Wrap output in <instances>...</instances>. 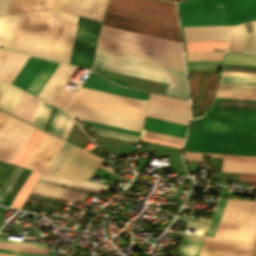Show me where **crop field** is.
Returning a JSON list of instances; mask_svg holds the SVG:
<instances>
[{
    "label": "crop field",
    "instance_id": "obj_49",
    "mask_svg": "<svg viewBox=\"0 0 256 256\" xmlns=\"http://www.w3.org/2000/svg\"><path fill=\"white\" fill-rule=\"evenodd\" d=\"M206 40H227V38H226V36H223V37L185 38V41H206Z\"/></svg>",
    "mask_w": 256,
    "mask_h": 256
},
{
    "label": "crop field",
    "instance_id": "obj_4",
    "mask_svg": "<svg viewBox=\"0 0 256 256\" xmlns=\"http://www.w3.org/2000/svg\"><path fill=\"white\" fill-rule=\"evenodd\" d=\"M191 131L256 135V112L209 109Z\"/></svg>",
    "mask_w": 256,
    "mask_h": 256
},
{
    "label": "crop field",
    "instance_id": "obj_21",
    "mask_svg": "<svg viewBox=\"0 0 256 256\" xmlns=\"http://www.w3.org/2000/svg\"><path fill=\"white\" fill-rule=\"evenodd\" d=\"M39 101L40 100L36 99L35 97L22 92L13 114L28 122H31Z\"/></svg>",
    "mask_w": 256,
    "mask_h": 256
},
{
    "label": "crop field",
    "instance_id": "obj_30",
    "mask_svg": "<svg viewBox=\"0 0 256 256\" xmlns=\"http://www.w3.org/2000/svg\"><path fill=\"white\" fill-rule=\"evenodd\" d=\"M34 189L47 192V193L64 196V197L81 200V201L85 196V193H81V192H77V191H73V190H69V189H65V188H61V187H57V186H53V185H49L41 182H38V184L35 186Z\"/></svg>",
    "mask_w": 256,
    "mask_h": 256
},
{
    "label": "crop field",
    "instance_id": "obj_36",
    "mask_svg": "<svg viewBox=\"0 0 256 256\" xmlns=\"http://www.w3.org/2000/svg\"><path fill=\"white\" fill-rule=\"evenodd\" d=\"M228 199L220 198L206 235H215Z\"/></svg>",
    "mask_w": 256,
    "mask_h": 256
},
{
    "label": "crop field",
    "instance_id": "obj_27",
    "mask_svg": "<svg viewBox=\"0 0 256 256\" xmlns=\"http://www.w3.org/2000/svg\"><path fill=\"white\" fill-rule=\"evenodd\" d=\"M187 52H221L227 50V41L185 42Z\"/></svg>",
    "mask_w": 256,
    "mask_h": 256
},
{
    "label": "crop field",
    "instance_id": "obj_23",
    "mask_svg": "<svg viewBox=\"0 0 256 256\" xmlns=\"http://www.w3.org/2000/svg\"><path fill=\"white\" fill-rule=\"evenodd\" d=\"M148 104L190 113L189 102L153 93L150 95Z\"/></svg>",
    "mask_w": 256,
    "mask_h": 256
},
{
    "label": "crop field",
    "instance_id": "obj_1",
    "mask_svg": "<svg viewBox=\"0 0 256 256\" xmlns=\"http://www.w3.org/2000/svg\"><path fill=\"white\" fill-rule=\"evenodd\" d=\"M179 7L182 26L238 24L256 19V0H191Z\"/></svg>",
    "mask_w": 256,
    "mask_h": 256
},
{
    "label": "crop field",
    "instance_id": "obj_34",
    "mask_svg": "<svg viewBox=\"0 0 256 256\" xmlns=\"http://www.w3.org/2000/svg\"><path fill=\"white\" fill-rule=\"evenodd\" d=\"M0 248L23 251V252H30V253H37V254H43V255H46L47 249H48L45 247L16 244V243H9V242H1V241H0Z\"/></svg>",
    "mask_w": 256,
    "mask_h": 256
},
{
    "label": "crop field",
    "instance_id": "obj_29",
    "mask_svg": "<svg viewBox=\"0 0 256 256\" xmlns=\"http://www.w3.org/2000/svg\"><path fill=\"white\" fill-rule=\"evenodd\" d=\"M40 174L41 173L31 171L28 178L26 179L21 189L10 204V207L20 209L21 205L23 204L25 198L27 197L28 193L32 189Z\"/></svg>",
    "mask_w": 256,
    "mask_h": 256
},
{
    "label": "crop field",
    "instance_id": "obj_33",
    "mask_svg": "<svg viewBox=\"0 0 256 256\" xmlns=\"http://www.w3.org/2000/svg\"><path fill=\"white\" fill-rule=\"evenodd\" d=\"M253 32H246L245 25H241L243 51L256 53V21H252Z\"/></svg>",
    "mask_w": 256,
    "mask_h": 256
},
{
    "label": "crop field",
    "instance_id": "obj_20",
    "mask_svg": "<svg viewBox=\"0 0 256 256\" xmlns=\"http://www.w3.org/2000/svg\"><path fill=\"white\" fill-rule=\"evenodd\" d=\"M97 51L185 71L184 65L98 46Z\"/></svg>",
    "mask_w": 256,
    "mask_h": 256
},
{
    "label": "crop field",
    "instance_id": "obj_53",
    "mask_svg": "<svg viewBox=\"0 0 256 256\" xmlns=\"http://www.w3.org/2000/svg\"><path fill=\"white\" fill-rule=\"evenodd\" d=\"M143 141H148V142H153V143H158V144H164V145H169V146H174V147H179L181 148L180 145H176V144H171V143H167V142H162V141H157V140H153V139H148V138H144L142 137Z\"/></svg>",
    "mask_w": 256,
    "mask_h": 256
},
{
    "label": "crop field",
    "instance_id": "obj_19",
    "mask_svg": "<svg viewBox=\"0 0 256 256\" xmlns=\"http://www.w3.org/2000/svg\"><path fill=\"white\" fill-rule=\"evenodd\" d=\"M22 90L5 82H0V108L13 113Z\"/></svg>",
    "mask_w": 256,
    "mask_h": 256
},
{
    "label": "crop field",
    "instance_id": "obj_42",
    "mask_svg": "<svg viewBox=\"0 0 256 256\" xmlns=\"http://www.w3.org/2000/svg\"><path fill=\"white\" fill-rule=\"evenodd\" d=\"M229 50L242 51L240 25L228 33Z\"/></svg>",
    "mask_w": 256,
    "mask_h": 256
},
{
    "label": "crop field",
    "instance_id": "obj_12",
    "mask_svg": "<svg viewBox=\"0 0 256 256\" xmlns=\"http://www.w3.org/2000/svg\"><path fill=\"white\" fill-rule=\"evenodd\" d=\"M93 72H91V74L82 84L83 87L147 100L148 93L117 86Z\"/></svg>",
    "mask_w": 256,
    "mask_h": 256
},
{
    "label": "crop field",
    "instance_id": "obj_6",
    "mask_svg": "<svg viewBox=\"0 0 256 256\" xmlns=\"http://www.w3.org/2000/svg\"><path fill=\"white\" fill-rule=\"evenodd\" d=\"M51 12L21 14L13 50L42 57Z\"/></svg>",
    "mask_w": 256,
    "mask_h": 256
},
{
    "label": "crop field",
    "instance_id": "obj_48",
    "mask_svg": "<svg viewBox=\"0 0 256 256\" xmlns=\"http://www.w3.org/2000/svg\"><path fill=\"white\" fill-rule=\"evenodd\" d=\"M218 89L256 92V88L220 85Z\"/></svg>",
    "mask_w": 256,
    "mask_h": 256
},
{
    "label": "crop field",
    "instance_id": "obj_3",
    "mask_svg": "<svg viewBox=\"0 0 256 256\" xmlns=\"http://www.w3.org/2000/svg\"><path fill=\"white\" fill-rule=\"evenodd\" d=\"M96 68L170 83L167 95L189 99L185 72L97 52Z\"/></svg>",
    "mask_w": 256,
    "mask_h": 256
},
{
    "label": "crop field",
    "instance_id": "obj_38",
    "mask_svg": "<svg viewBox=\"0 0 256 256\" xmlns=\"http://www.w3.org/2000/svg\"><path fill=\"white\" fill-rule=\"evenodd\" d=\"M224 63L256 65V56H250V55H244V54H238V53H229L227 54Z\"/></svg>",
    "mask_w": 256,
    "mask_h": 256
},
{
    "label": "crop field",
    "instance_id": "obj_22",
    "mask_svg": "<svg viewBox=\"0 0 256 256\" xmlns=\"http://www.w3.org/2000/svg\"><path fill=\"white\" fill-rule=\"evenodd\" d=\"M34 130V127L28 125L25 123L15 140L12 142L4 156L2 157V160H5L7 162L12 163L32 131Z\"/></svg>",
    "mask_w": 256,
    "mask_h": 256
},
{
    "label": "crop field",
    "instance_id": "obj_15",
    "mask_svg": "<svg viewBox=\"0 0 256 256\" xmlns=\"http://www.w3.org/2000/svg\"><path fill=\"white\" fill-rule=\"evenodd\" d=\"M185 124L146 116L143 129L184 138Z\"/></svg>",
    "mask_w": 256,
    "mask_h": 256
},
{
    "label": "crop field",
    "instance_id": "obj_46",
    "mask_svg": "<svg viewBox=\"0 0 256 256\" xmlns=\"http://www.w3.org/2000/svg\"><path fill=\"white\" fill-rule=\"evenodd\" d=\"M175 220L187 221L186 225L207 227L210 219L177 217Z\"/></svg>",
    "mask_w": 256,
    "mask_h": 256
},
{
    "label": "crop field",
    "instance_id": "obj_55",
    "mask_svg": "<svg viewBox=\"0 0 256 256\" xmlns=\"http://www.w3.org/2000/svg\"><path fill=\"white\" fill-rule=\"evenodd\" d=\"M222 74L243 75V76H255V77H256V73H243V72H229V71H223Z\"/></svg>",
    "mask_w": 256,
    "mask_h": 256
},
{
    "label": "crop field",
    "instance_id": "obj_54",
    "mask_svg": "<svg viewBox=\"0 0 256 256\" xmlns=\"http://www.w3.org/2000/svg\"><path fill=\"white\" fill-rule=\"evenodd\" d=\"M0 240H1V241L16 242V243H24V244L39 245V246H45V247H48V246H49V245H46V244L32 243V242H24V241H17V240L3 239V238H0Z\"/></svg>",
    "mask_w": 256,
    "mask_h": 256
},
{
    "label": "crop field",
    "instance_id": "obj_52",
    "mask_svg": "<svg viewBox=\"0 0 256 256\" xmlns=\"http://www.w3.org/2000/svg\"><path fill=\"white\" fill-rule=\"evenodd\" d=\"M32 192L42 194V195H46V196H50V197H54V198H58V199H62V200L76 202V201H73L72 199H68V198H64V197H60V196H56V195H52V194H47V193H43V192H39V191H35V190H33ZM76 203H80V202H76ZM81 204H85V203H81ZM85 205H87V204H85Z\"/></svg>",
    "mask_w": 256,
    "mask_h": 256
},
{
    "label": "crop field",
    "instance_id": "obj_26",
    "mask_svg": "<svg viewBox=\"0 0 256 256\" xmlns=\"http://www.w3.org/2000/svg\"><path fill=\"white\" fill-rule=\"evenodd\" d=\"M57 65V62L47 60V62L44 64L42 69L39 71L35 79L28 87L27 91L37 96Z\"/></svg>",
    "mask_w": 256,
    "mask_h": 256
},
{
    "label": "crop field",
    "instance_id": "obj_9",
    "mask_svg": "<svg viewBox=\"0 0 256 256\" xmlns=\"http://www.w3.org/2000/svg\"><path fill=\"white\" fill-rule=\"evenodd\" d=\"M106 4L107 0H37L34 10L58 8L102 20Z\"/></svg>",
    "mask_w": 256,
    "mask_h": 256
},
{
    "label": "crop field",
    "instance_id": "obj_41",
    "mask_svg": "<svg viewBox=\"0 0 256 256\" xmlns=\"http://www.w3.org/2000/svg\"><path fill=\"white\" fill-rule=\"evenodd\" d=\"M36 0H12L9 12H21L33 10Z\"/></svg>",
    "mask_w": 256,
    "mask_h": 256
},
{
    "label": "crop field",
    "instance_id": "obj_47",
    "mask_svg": "<svg viewBox=\"0 0 256 256\" xmlns=\"http://www.w3.org/2000/svg\"><path fill=\"white\" fill-rule=\"evenodd\" d=\"M222 54H187L188 60L221 59Z\"/></svg>",
    "mask_w": 256,
    "mask_h": 256
},
{
    "label": "crop field",
    "instance_id": "obj_43",
    "mask_svg": "<svg viewBox=\"0 0 256 256\" xmlns=\"http://www.w3.org/2000/svg\"><path fill=\"white\" fill-rule=\"evenodd\" d=\"M190 69L220 68L221 60L188 61Z\"/></svg>",
    "mask_w": 256,
    "mask_h": 256
},
{
    "label": "crop field",
    "instance_id": "obj_57",
    "mask_svg": "<svg viewBox=\"0 0 256 256\" xmlns=\"http://www.w3.org/2000/svg\"><path fill=\"white\" fill-rule=\"evenodd\" d=\"M0 251H1V252L14 253V254L28 255V256H43V255L30 254V253H23V252L10 251V250H4V249H0Z\"/></svg>",
    "mask_w": 256,
    "mask_h": 256
},
{
    "label": "crop field",
    "instance_id": "obj_61",
    "mask_svg": "<svg viewBox=\"0 0 256 256\" xmlns=\"http://www.w3.org/2000/svg\"><path fill=\"white\" fill-rule=\"evenodd\" d=\"M167 1H172V2H175V0H167Z\"/></svg>",
    "mask_w": 256,
    "mask_h": 256
},
{
    "label": "crop field",
    "instance_id": "obj_24",
    "mask_svg": "<svg viewBox=\"0 0 256 256\" xmlns=\"http://www.w3.org/2000/svg\"><path fill=\"white\" fill-rule=\"evenodd\" d=\"M74 149L75 146L64 142L44 173L57 176Z\"/></svg>",
    "mask_w": 256,
    "mask_h": 256
},
{
    "label": "crop field",
    "instance_id": "obj_13",
    "mask_svg": "<svg viewBox=\"0 0 256 256\" xmlns=\"http://www.w3.org/2000/svg\"><path fill=\"white\" fill-rule=\"evenodd\" d=\"M24 122L4 113H0V159L14 140Z\"/></svg>",
    "mask_w": 256,
    "mask_h": 256
},
{
    "label": "crop field",
    "instance_id": "obj_8",
    "mask_svg": "<svg viewBox=\"0 0 256 256\" xmlns=\"http://www.w3.org/2000/svg\"><path fill=\"white\" fill-rule=\"evenodd\" d=\"M65 111L75 118L86 119L138 132H140L143 122V120L141 119H136L132 117L122 116L118 114L108 113L71 104H68Z\"/></svg>",
    "mask_w": 256,
    "mask_h": 256
},
{
    "label": "crop field",
    "instance_id": "obj_5",
    "mask_svg": "<svg viewBox=\"0 0 256 256\" xmlns=\"http://www.w3.org/2000/svg\"><path fill=\"white\" fill-rule=\"evenodd\" d=\"M70 103L143 119L147 101L80 87Z\"/></svg>",
    "mask_w": 256,
    "mask_h": 256
},
{
    "label": "crop field",
    "instance_id": "obj_39",
    "mask_svg": "<svg viewBox=\"0 0 256 256\" xmlns=\"http://www.w3.org/2000/svg\"><path fill=\"white\" fill-rule=\"evenodd\" d=\"M51 107V105L41 101L31 123L42 128Z\"/></svg>",
    "mask_w": 256,
    "mask_h": 256
},
{
    "label": "crop field",
    "instance_id": "obj_32",
    "mask_svg": "<svg viewBox=\"0 0 256 256\" xmlns=\"http://www.w3.org/2000/svg\"><path fill=\"white\" fill-rule=\"evenodd\" d=\"M69 119L70 117L64 111L57 109L48 131L62 137Z\"/></svg>",
    "mask_w": 256,
    "mask_h": 256
},
{
    "label": "crop field",
    "instance_id": "obj_60",
    "mask_svg": "<svg viewBox=\"0 0 256 256\" xmlns=\"http://www.w3.org/2000/svg\"><path fill=\"white\" fill-rule=\"evenodd\" d=\"M251 256H256V242H255Z\"/></svg>",
    "mask_w": 256,
    "mask_h": 256
},
{
    "label": "crop field",
    "instance_id": "obj_45",
    "mask_svg": "<svg viewBox=\"0 0 256 256\" xmlns=\"http://www.w3.org/2000/svg\"><path fill=\"white\" fill-rule=\"evenodd\" d=\"M21 171H22V168H18V167H15V169L13 170L12 174L10 175V177L8 178V180L6 181V183L4 184V186L0 191V203L5 197V195L7 194V192L9 191V189L11 188L12 184L14 183V181L16 180V178L18 177Z\"/></svg>",
    "mask_w": 256,
    "mask_h": 256
},
{
    "label": "crop field",
    "instance_id": "obj_7",
    "mask_svg": "<svg viewBox=\"0 0 256 256\" xmlns=\"http://www.w3.org/2000/svg\"><path fill=\"white\" fill-rule=\"evenodd\" d=\"M100 25L79 16L69 63L91 68Z\"/></svg>",
    "mask_w": 256,
    "mask_h": 256
},
{
    "label": "crop field",
    "instance_id": "obj_50",
    "mask_svg": "<svg viewBox=\"0 0 256 256\" xmlns=\"http://www.w3.org/2000/svg\"><path fill=\"white\" fill-rule=\"evenodd\" d=\"M86 123H87V124H90V125H95V126H99V127L114 129V130H118V131H123V132L132 133V134H137V135L140 134V133H138V132L129 131V130H125V129H120V128H116V127H111V126L102 125V124H97V123H93V122H88V121H86Z\"/></svg>",
    "mask_w": 256,
    "mask_h": 256
},
{
    "label": "crop field",
    "instance_id": "obj_14",
    "mask_svg": "<svg viewBox=\"0 0 256 256\" xmlns=\"http://www.w3.org/2000/svg\"><path fill=\"white\" fill-rule=\"evenodd\" d=\"M28 58V55L8 51L0 63V80L11 83Z\"/></svg>",
    "mask_w": 256,
    "mask_h": 256
},
{
    "label": "crop field",
    "instance_id": "obj_18",
    "mask_svg": "<svg viewBox=\"0 0 256 256\" xmlns=\"http://www.w3.org/2000/svg\"><path fill=\"white\" fill-rule=\"evenodd\" d=\"M45 135L46 132L35 128L13 163L25 167Z\"/></svg>",
    "mask_w": 256,
    "mask_h": 256
},
{
    "label": "crop field",
    "instance_id": "obj_40",
    "mask_svg": "<svg viewBox=\"0 0 256 256\" xmlns=\"http://www.w3.org/2000/svg\"><path fill=\"white\" fill-rule=\"evenodd\" d=\"M58 13H59L58 10H53V12H52L46 46H45L44 55H43V57H46V58H49V56H50V51H51V46H52V42H53Z\"/></svg>",
    "mask_w": 256,
    "mask_h": 256
},
{
    "label": "crop field",
    "instance_id": "obj_37",
    "mask_svg": "<svg viewBox=\"0 0 256 256\" xmlns=\"http://www.w3.org/2000/svg\"><path fill=\"white\" fill-rule=\"evenodd\" d=\"M147 112L158 114V115H163V116H168V117H172V118L182 119V120H186V121L189 120L188 113L159 108V107L150 106V105H148Z\"/></svg>",
    "mask_w": 256,
    "mask_h": 256
},
{
    "label": "crop field",
    "instance_id": "obj_58",
    "mask_svg": "<svg viewBox=\"0 0 256 256\" xmlns=\"http://www.w3.org/2000/svg\"><path fill=\"white\" fill-rule=\"evenodd\" d=\"M146 115L157 117V118H162V119H167V120H171V121L181 122V123H185V124L188 123L186 121H181V120H177V119H172V118H167V117H163V116L153 115V114H149V113H147Z\"/></svg>",
    "mask_w": 256,
    "mask_h": 256
},
{
    "label": "crop field",
    "instance_id": "obj_31",
    "mask_svg": "<svg viewBox=\"0 0 256 256\" xmlns=\"http://www.w3.org/2000/svg\"><path fill=\"white\" fill-rule=\"evenodd\" d=\"M202 239L184 235L183 241L178 249L179 256H198Z\"/></svg>",
    "mask_w": 256,
    "mask_h": 256
},
{
    "label": "crop field",
    "instance_id": "obj_56",
    "mask_svg": "<svg viewBox=\"0 0 256 256\" xmlns=\"http://www.w3.org/2000/svg\"><path fill=\"white\" fill-rule=\"evenodd\" d=\"M187 162H204L202 157L186 156Z\"/></svg>",
    "mask_w": 256,
    "mask_h": 256
},
{
    "label": "crop field",
    "instance_id": "obj_35",
    "mask_svg": "<svg viewBox=\"0 0 256 256\" xmlns=\"http://www.w3.org/2000/svg\"><path fill=\"white\" fill-rule=\"evenodd\" d=\"M220 84L256 87V78L222 75Z\"/></svg>",
    "mask_w": 256,
    "mask_h": 256
},
{
    "label": "crop field",
    "instance_id": "obj_10",
    "mask_svg": "<svg viewBox=\"0 0 256 256\" xmlns=\"http://www.w3.org/2000/svg\"><path fill=\"white\" fill-rule=\"evenodd\" d=\"M108 6L178 21L176 7L169 3L155 0H110Z\"/></svg>",
    "mask_w": 256,
    "mask_h": 256
},
{
    "label": "crop field",
    "instance_id": "obj_16",
    "mask_svg": "<svg viewBox=\"0 0 256 256\" xmlns=\"http://www.w3.org/2000/svg\"><path fill=\"white\" fill-rule=\"evenodd\" d=\"M20 14L0 16V47L13 48Z\"/></svg>",
    "mask_w": 256,
    "mask_h": 256
},
{
    "label": "crop field",
    "instance_id": "obj_11",
    "mask_svg": "<svg viewBox=\"0 0 256 256\" xmlns=\"http://www.w3.org/2000/svg\"><path fill=\"white\" fill-rule=\"evenodd\" d=\"M100 160L76 147L58 176L74 180L89 178Z\"/></svg>",
    "mask_w": 256,
    "mask_h": 256
},
{
    "label": "crop field",
    "instance_id": "obj_25",
    "mask_svg": "<svg viewBox=\"0 0 256 256\" xmlns=\"http://www.w3.org/2000/svg\"><path fill=\"white\" fill-rule=\"evenodd\" d=\"M234 25L183 27L185 37L226 35Z\"/></svg>",
    "mask_w": 256,
    "mask_h": 256
},
{
    "label": "crop field",
    "instance_id": "obj_44",
    "mask_svg": "<svg viewBox=\"0 0 256 256\" xmlns=\"http://www.w3.org/2000/svg\"><path fill=\"white\" fill-rule=\"evenodd\" d=\"M216 96L233 97V98H245V99H256V93L224 91V90H218Z\"/></svg>",
    "mask_w": 256,
    "mask_h": 256
},
{
    "label": "crop field",
    "instance_id": "obj_17",
    "mask_svg": "<svg viewBox=\"0 0 256 256\" xmlns=\"http://www.w3.org/2000/svg\"><path fill=\"white\" fill-rule=\"evenodd\" d=\"M45 62V59L30 56L15 79L12 81V84L26 90Z\"/></svg>",
    "mask_w": 256,
    "mask_h": 256
},
{
    "label": "crop field",
    "instance_id": "obj_51",
    "mask_svg": "<svg viewBox=\"0 0 256 256\" xmlns=\"http://www.w3.org/2000/svg\"><path fill=\"white\" fill-rule=\"evenodd\" d=\"M11 0H0V14L8 12Z\"/></svg>",
    "mask_w": 256,
    "mask_h": 256
},
{
    "label": "crop field",
    "instance_id": "obj_59",
    "mask_svg": "<svg viewBox=\"0 0 256 256\" xmlns=\"http://www.w3.org/2000/svg\"><path fill=\"white\" fill-rule=\"evenodd\" d=\"M200 256H224V255H218V254H211V253H204V252H201V253H200Z\"/></svg>",
    "mask_w": 256,
    "mask_h": 256
},
{
    "label": "crop field",
    "instance_id": "obj_2",
    "mask_svg": "<svg viewBox=\"0 0 256 256\" xmlns=\"http://www.w3.org/2000/svg\"><path fill=\"white\" fill-rule=\"evenodd\" d=\"M100 46L184 64L181 43L103 26Z\"/></svg>",
    "mask_w": 256,
    "mask_h": 256
},
{
    "label": "crop field",
    "instance_id": "obj_28",
    "mask_svg": "<svg viewBox=\"0 0 256 256\" xmlns=\"http://www.w3.org/2000/svg\"><path fill=\"white\" fill-rule=\"evenodd\" d=\"M106 12L179 28L178 22L167 20V19L152 17L148 15L138 14V13L119 10V9L110 8V7L107 8Z\"/></svg>",
    "mask_w": 256,
    "mask_h": 256
}]
</instances>
